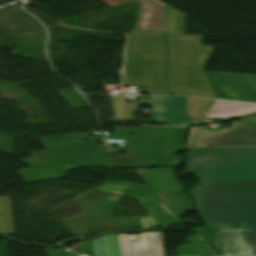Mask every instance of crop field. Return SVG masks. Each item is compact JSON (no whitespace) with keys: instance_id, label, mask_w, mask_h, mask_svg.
Returning <instances> with one entry per match:
<instances>
[{"instance_id":"1","label":"crop field","mask_w":256,"mask_h":256,"mask_svg":"<svg viewBox=\"0 0 256 256\" xmlns=\"http://www.w3.org/2000/svg\"><path fill=\"white\" fill-rule=\"evenodd\" d=\"M86 138L87 141H77ZM46 149L58 162L62 170L85 167H159L176 166L179 157H171L169 153L184 148H149V147H115L114 152L95 149L96 138L85 133L59 135L39 138ZM125 152L127 155H120ZM32 158L21 159L31 168L17 170L26 182L64 177L59 167L46 150L30 153ZM144 155V157H141ZM33 164L37 161H45ZM60 173V175L31 178L36 176ZM23 179V180H24Z\"/></svg>"},{"instance_id":"2","label":"crop field","mask_w":256,"mask_h":256,"mask_svg":"<svg viewBox=\"0 0 256 256\" xmlns=\"http://www.w3.org/2000/svg\"><path fill=\"white\" fill-rule=\"evenodd\" d=\"M169 44L170 94L216 98L202 70L214 48L202 46V36H185L183 13L165 5Z\"/></svg>"},{"instance_id":"3","label":"crop field","mask_w":256,"mask_h":256,"mask_svg":"<svg viewBox=\"0 0 256 256\" xmlns=\"http://www.w3.org/2000/svg\"><path fill=\"white\" fill-rule=\"evenodd\" d=\"M190 193L210 228L256 226V181L200 182Z\"/></svg>"},{"instance_id":"4","label":"crop field","mask_w":256,"mask_h":256,"mask_svg":"<svg viewBox=\"0 0 256 256\" xmlns=\"http://www.w3.org/2000/svg\"><path fill=\"white\" fill-rule=\"evenodd\" d=\"M124 85H136L147 94H167L166 36L163 31H131ZM143 85L147 88L142 89Z\"/></svg>"},{"instance_id":"5","label":"crop field","mask_w":256,"mask_h":256,"mask_svg":"<svg viewBox=\"0 0 256 256\" xmlns=\"http://www.w3.org/2000/svg\"><path fill=\"white\" fill-rule=\"evenodd\" d=\"M185 173L200 180L256 179V149L189 148Z\"/></svg>"},{"instance_id":"6","label":"crop field","mask_w":256,"mask_h":256,"mask_svg":"<svg viewBox=\"0 0 256 256\" xmlns=\"http://www.w3.org/2000/svg\"><path fill=\"white\" fill-rule=\"evenodd\" d=\"M189 145L256 146V124L233 122V127L218 131L195 126Z\"/></svg>"},{"instance_id":"7","label":"crop field","mask_w":256,"mask_h":256,"mask_svg":"<svg viewBox=\"0 0 256 256\" xmlns=\"http://www.w3.org/2000/svg\"><path fill=\"white\" fill-rule=\"evenodd\" d=\"M204 74L217 98L256 102V75Z\"/></svg>"},{"instance_id":"8","label":"crop field","mask_w":256,"mask_h":256,"mask_svg":"<svg viewBox=\"0 0 256 256\" xmlns=\"http://www.w3.org/2000/svg\"><path fill=\"white\" fill-rule=\"evenodd\" d=\"M185 129L166 127H114L112 138L129 139L128 144L131 145L182 146L180 143ZM131 133L136 134V136H129Z\"/></svg>"},{"instance_id":"9","label":"crop field","mask_w":256,"mask_h":256,"mask_svg":"<svg viewBox=\"0 0 256 256\" xmlns=\"http://www.w3.org/2000/svg\"><path fill=\"white\" fill-rule=\"evenodd\" d=\"M139 102L152 104L150 120L137 122L173 123L178 126L190 124L185 114V97L148 96Z\"/></svg>"},{"instance_id":"10","label":"crop field","mask_w":256,"mask_h":256,"mask_svg":"<svg viewBox=\"0 0 256 256\" xmlns=\"http://www.w3.org/2000/svg\"><path fill=\"white\" fill-rule=\"evenodd\" d=\"M216 250L223 256H256V228L217 230Z\"/></svg>"},{"instance_id":"11","label":"crop field","mask_w":256,"mask_h":256,"mask_svg":"<svg viewBox=\"0 0 256 256\" xmlns=\"http://www.w3.org/2000/svg\"><path fill=\"white\" fill-rule=\"evenodd\" d=\"M122 256H132L129 241L138 237L128 234L119 235ZM135 256H164L161 232L141 233L138 240L132 243Z\"/></svg>"},{"instance_id":"12","label":"crop field","mask_w":256,"mask_h":256,"mask_svg":"<svg viewBox=\"0 0 256 256\" xmlns=\"http://www.w3.org/2000/svg\"><path fill=\"white\" fill-rule=\"evenodd\" d=\"M136 170L150 184L155 192H183L181 186L172 176L173 168Z\"/></svg>"},{"instance_id":"13","label":"crop field","mask_w":256,"mask_h":256,"mask_svg":"<svg viewBox=\"0 0 256 256\" xmlns=\"http://www.w3.org/2000/svg\"><path fill=\"white\" fill-rule=\"evenodd\" d=\"M79 253L94 251L95 256H121L118 235H105L77 245Z\"/></svg>"},{"instance_id":"14","label":"crop field","mask_w":256,"mask_h":256,"mask_svg":"<svg viewBox=\"0 0 256 256\" xmlns=\"http://www.w3.org/2000/svg\"><path fill=\"white\" fill-rule=\"evenodd\" d=\"M256 111V104L217 100L207 117L231 118Z\"/></svg>"},{"instance_id":"15","label":"crop field","mask_w":256,"mask_h":256,"mask_svg":"<svg viewBox=\"0 0 256 256\" xmlns=\"http://www.w3.org/2000/svg\"><path fill=\"white\" fill-rule=\"evenodd\" d=\"M115 121H133L136 106L125 101L124 96H110Z\"/></svg>"},{"instance_id":"16","label":"crop field","mask_w":256,"mask_h":256,"mask_svg":"<svg viewBox=\"0 0 256 256\" xmlns=\"http://www.w3.org/2000/svg\"><path fill=\"white\" fill-rule=\"evenodd\" d=\"M209 108V99L187 97V115L203 118Z\"/></svg>"},{"instance_id":"17","label":"crop field","mask_w":256,"mask_h":256,"mask_svg":"<svg viewBox=\"0 0 256 256\" xmlns=\"http://www.w3.org/2000/svg\"><path fill=\"white\" fill-rule=\"evenodd\" d=\"M72 108L89 106L74 87L57 90ZM60 95V96H61Z\"/></svg>"},{"instance_id":"18","label":"crop field","mask_w":256,"mask_h":256,"mask_svg":"<svg viewBox=\"0 0 256 256\" xmlns=\"http://www.w3.org/2000/svg\"><path fill=\"white\" fill-rule=\"evenodd\" d=\"M240 121L256 123V115L240 119Z\"/></svg>"},{"instance_id":"19","label":"crop field","mask_w":256,"mask_h":256,"mask_svg":"<svg viewBox=\"0 0 256 256\" xmlns=\"http://www.w3.org/2000/svg\"><path fill=\"white\" fill-rule=\"evenodd\" d=\"M192 124L200 123L202 119L191 117Z\"/></svg>"},{"instance_id":"20","label":"crop field","mask_w":256,"mask_h":256,"mask_svg":"<svg viewBox=\"0 0 256 256\" xmlns=\"http://www.w3.org/2000/svg\"><path fill=\"white\" fill-rule=\"evenodd\" d=\"M3 229V228H2ZM4 230V229H3Z\"/></svg>"}]
</instances>
